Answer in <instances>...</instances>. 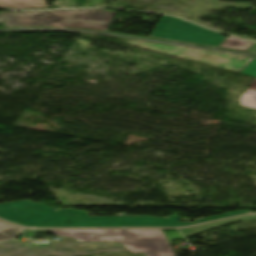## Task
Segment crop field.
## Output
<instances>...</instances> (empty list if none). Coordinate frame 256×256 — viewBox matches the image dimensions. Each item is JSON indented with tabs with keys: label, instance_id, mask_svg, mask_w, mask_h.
<instances>
[{
	"label": "crop field",
	"instance_id": "d8731c3e",
	"mask_svg": "<svg viewBox=\"0 0 256 256\" xmlns=\"http://www.w3.org/2000/svg\"><path fill=\"white\" fill-rule=\"evenodd\" d=\"M240 105L256 109V79L250 84V88L241 96Z\"/></svg>",
	"mask_w": 256,
	"mask_h": 256
},
{
	"label": "crop field",
	"instance_id": "3316defc",
	"mask_svg": "<svg viewBox=\"0 0 256 256\" xmlns=\"http://www.w3.org/2000/svg\"><path fill=\"white\" fill-rule=\"evenodd\" d=\"M251 44L252 42L244 41L233 37H228L220 47L239 49L245 51Z\"/></svg>",
	"mask_w": 256,
	"mask_h": 256
},
{
	"label": "crop field",
	"instance_id": "ac0d7876",
	"mask_svg": "<svg viewBox=\"0 0 256 256\" xmlns=\"http://www.w3.org/2000/svg\"><path fill=\"white\" fill-rule=\"evenodd\" d=\"M115 12L106 10H64L0 14L6 27L59 26L106 31Z\"/></svg>",
	"mask_w": 256,
	"mask_h": 256
},
{
	"label": "crop field",
	"instance_id": "8a807250",
	"mask_svg": "<svg viewBox=\"0 0 256 256\" xmlns=\"http://www.w3.org/2000/svg\"><path fill=\"white\" fill-rule=\"evenodd\" d=\"M48 206V205H47ZM31 200L0 205V218L24 227H121L123 217H90L73 208L54 210Z\"/></svg>",
	"mask_w": 256,
	"mask_h": 256
},
{
	"label": "crop field",
	"instance_id": "dd49c442",
	"mask_svg": "<svg viewBox=\"0 0 256 256\" xmlns=\"http://www.w3.org/2000/svg\"><path fill=\"white\" fill-rule=\"evenodd\" d=\"M0 7L11 9H48L45 0H0Z\"/></svg>",
	"mask_w": 256,
	"mask_h": 256
},
{
	"label": "crop field",
	"instance_id": "412701ff",
	"mask_svg": "<svg viewBox=\"0 0 256 256\" xmlns=\"http://www.w3.org/2000/svg\"><path fill=\"white\" fill-rule=\"evenodd\" d=\"M120 42L136 45L139 47L155 50L158 52L206 63L219 68L239 73L243 67L252 59L242 56L225 55L211 52L196 51L190 49L176 48L170 46L156 45L143 42L121 40Z\"/></svg>",
	"mask_w": 256,
	"mask_h": 256
},
{
	"label": "crop field",
	"instance_id": "22f410ed",
	"mask_svg": "<svg viewBox=\"0 0 256 256\" xmlns=\"http://www.w3.org/2000/svg\"><path fill=\"white\" fill-rule=\"evenodd\" d=\"M46 230H26V229H23L22 233H44ZM50 232L52 230H49Z\"/></svg>",
	"mask_w": 256,
	"mask_h": 256
},
{
	"label": "crop field",
	"instance_id": "28ad6ade",
	"mask_svg": "<svg viewBox=\"0 0 256 256\" xmlns=\"http://www.w3.org/2000/svg\"><path fill=\"white\" fill-rule=\"evenodd\" d=\"M247 213H251V211L250 210L237 211V212H233V213H228V214L213 216V217H209V218L199 219V220H196V222H194V223L181 224V226L184 227V226H188V225H193V224L202 223V222L211 221V220L220 219V218L243 215V214H247Z\"/></svg>",
	"mask_w": 256,
	"mask_h": 256
},
{
	"label": "crop field",
	"instance_id": "e52e79f7",
	"mask_svg": "<svg viewBox=\"0 0 256 256\" xmlns=\"http://www.w3.org/2000/svg\"><path fill=\"white\" fill-rule=\"evenodd\" d=\"M251 219H256V215L253 216H247V217H241V218H236V219H230V220H225L221 222H216V223H211L207 225H202V226H197L193 228H188V229H183L184 233L187 235V237H191L193 235L220 227L232 223H237L245 220H251Z\"/></svg>",
	"mask_w": 256,
	"mask_h": 256
},
{
	"label": "crop field",
	"instance_id": "34b2d1b8",
	"mask_svg": "<svg viewBox=\"0 0 256 256\" xmlns=\"http://www.w3.org/2000/svg\"><path fill=\"white\" fill-rule=\"evenodd\" d=\"M151 37L219 47L225 37L171 16H163Z\"/></svg>",
	"mask_w": 256,
	"mask_h": 256
},
{
	"label": "crop field",
	"instance_id": "d1516ede",
	"mask_svg": "<svg viewBox=\"0 0 256 256\" xmlns=\"http://www.w3.org/2000/svg\"><path fill=\"white\" fill-rule=\"evenodd\" d=\"M242 74L256 77V58L246 67Z\"/></svg>",
	"mask_w": 256,
	"mask_h": 256
},
{
	"label": "crop field",
	"instance_id": "f4fd0767",
	"mask_svg": "<svg viewBox=\"0 0 256 256\" xmlns=\"http://www.w3.org/2000/svg\"><path fill=\"white\" fill-rule=\"evenodd\" d=\"M123 227H181L179 215L169 219L154 217H125Z\"/></svg>",
	"mask_w": 256,
	"mask_h": 256
},
{
	"label": "crop field",
	"instance_id": "5a996713",
	"mask_svg": "<svg viewBox=\"0 0 256 256\" xmlns=\"http://www.w3.org/2000/svg\"><path fill=\"white\" fill-rule=\"evenodd\" d=\"M21 229L0 221V241L14 238Z\"/></svg>",
	"mask_w": 256,
	"mask_h": 256
}]
</instances>
